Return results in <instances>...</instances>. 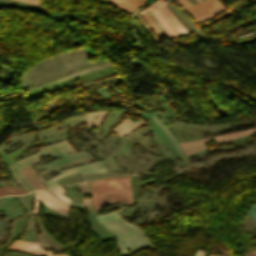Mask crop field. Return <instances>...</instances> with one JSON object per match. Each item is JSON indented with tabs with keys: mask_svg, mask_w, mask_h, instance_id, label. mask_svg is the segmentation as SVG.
<instances>
[{
	"mask_svg": "<svg viewBox=\"0 0 256 256\" xmlns=\"http://www.w3.org/2000/svg\"><path fill=\"white\" fill-rule=\"evenodd\" d=\"M123 209L102 216L95 214L97 220L116 235L122 256L127 255V248L131 252L146 246L153 249V246L139 227L127 223L117 214Z\"/></svg>",
	"mask_w": 256,
	"mask_h": 256,
	"instance_id": "1",
	"label": "crop field"
},
{
	"mask_svg": "<svg viewBox=\"0 0 256 256\" xmlns=\"http://www.w3.org/2000/svg\"><path fill=\"white\" fill-rule=\"evenodd\" d=\"M92 196V210L107 202L132 204L130 176H116L87 182Z\"/></svg>",
	"mask_w": 256,
	"mask_h": 256,
	"instance_id": "2",
	"label": "crop field"
},
{
	"mask_svg": "<svg viewBox=\"0 0 256 256\" xmlns=\"http://www.w3.org/2000/svg\"><path fill=\"white\" fill-rule=\"evenodd\" d=\"M41 151L37 152V154L32 155L30 157H27L17 163L9 165V167L12 169V173L14 175L15 180L18 182V184L22 185L23 187L27 188L28 190L32 191L35 190L33 186L30 184V182L26 179V177L21 173L19 169L24 168L26 166H29L35 162L38 161L39 157L48 155L53 158L69 155V154H63L65 152H69L74 150L71 146L68 145L67 141L53 144L47 147H43L40 149ZM76 151L70 153L73 154Z\"/></svg>",
	"mask_w": 256,
	"mask_h": 256,
	"instance_id": "3",
	"label": "crop field"
},
{
	"mask_svg": "<svg viewBox=\"0 0 256 256\" xmlns=\"http://www.w3.org/2000/svg\"><path fill=\"white\" fill-rule=\"evenodd\" d=\"M197 23L207 21L226 10L218 0H205L191 5L187 0H177Z\"/></svg>",
	"mask_w": 256,
	"mask_h": 256,
	"instance_id": "4",
	"label": "crop field"
},
{
	"mask_svg": "<svg viewBox=\"0 0 256 256\" xmlns=\"http://www.w3.org/2000/svg\"><path fill=\"white\" fill-rule=\"evenodd\" d=\"M59 172L61 174L56 175V176L52 177L51 179H49L47 181H45L41 178L40 179L48 186V188H54V187L60 186L54 180L59 179L61 177H64V176H67V175H70V174H74V173H77V172H79L80 176H83V175H88V174H93V173L106 172V170H105L102 162L98 161V162H94V163H89V164L69 168V169H66V170L59 171Z\"/></svg>",
	"mask_w": 256,
	"mask_h": 256,
	"instance_id": "5",
	"label": "crop field"
},
{
	"mask_svg": "<svg viewBox=\"0 0 256 256\" xmlns=\"http://www.w3.org/2000/svg\"><path fill=\"white\" fill-rule=\"evenodd\" d=\"M253 132H256L255 128L245 130V131L230 133V134H226V135H222V136H218V137L206 138V139H201V140L192 141V142H183V143H179V144H180L181 148L183 149L185 155L187 156V155L193 154L195 152H198V151L206 148L203 143L205 141L215 139L218 143H223L227 140L242 137V136L248 135Z\"/></svg>",
	"mask_w": 256,
	"mask_h": 256,
	"instance_id": "6",
	"label": "crop field"
},
{
	"mask_svg": "<svg viewBox=\"0 0 256 256\" xmlns=\"http://www.w3.org/2000/svg\"><path fill=\"white\" fill-rule=\"evenodd\" d=\"M35 196H36V202H35V207L32 213L37 214L38 200L45 203L47 206L53 209L66 213L68 203L58 200L59 198L56 199L57 197L55 198L47 191H44V190L35 191Z\"/></svg>",
	"mask_w": 256,
	"mask_h": 256,
	"instance_id": "7",
	"label": "crop field"
},
{
	"mask_svg": "<svg viewBox=\"0 0 256 256\" xmlns=\"http://www.w3.org/2000/svg\"><path fill=\"white\" fill-rule=\"evenodd\" d=\"M8 248L31 253V254H37V255L47 254V256H67V255H52L51 251H43L42 248L39 249L37 243L21 241V240L15 241Z\"/></svg>",
	"mask_w": 256,
	"mask_h": 256,
	"instance_id": "8",
	"label": "crop field"
},
{
	"mask_svg": "<svg viewBox=\"0 0 256 256\" xmlns=\"http://www.w3.org/2000/svg\"><path fill=\"white\" fill-rule=\"evenodd\" d=\"M110 1L113 3V5L124 9L129 14H131L134 10L138 9L141 5L147 2V0H110Z\"/></svg>",
	"mask_w": 256,
	"mask_h": 256,
	"instance_id": "9",
	"label": "crop field"
},
{
	"mask_svg": "<svg viewBox=\"0 0 256 256\" xmlns=\"http://www.w3.org/2000/svg\"><path fill=\"white\" fill-rule=\"evenodd\" d=\"M161 12L166 16L170 23L175 27V29L180 33L181 36L188 35L189 33L186 29L177 21V19L168 11V9L163 6L159 8Z\"/></svg>",
	"mask_w": 256,
	"mask_h": 256,
	"instance_id": "10",
	"label": "crop field"
},
{
	"mask_svg": "<svg viewBox=\"0 0 256 256\" xmlns=\"http://www.w3.org/2000/svg\"><path fill=\"white\" fill-rule=\"evenodd\" d=\"M155 123L163 130V132L167 135V137L170 139L171 143L173 144V146L175 147L176 151L178 152L180 157H183L184 154L179 146V144L177 143V141L175 140V138L170 134L169 130L163 125V123L158 119L157 116H150Z\"/></svg>",
	"mask_w": 256,
	"mask_h": 256,
	"instance_id": "11",
	"label": "crop field"
},
{
	"mask_svg": "<svg viewBox=\"0 0 256 256\" xmlns=\"http://www.w3.org/2000/svg\"><path fill=\"white\" fill-rule=\"evenodd\" d=\"M143 18L145 19V21L148 23V25L154 30L157 38L162 37V32L159 30V28L155 25V23L152 21V19L149 17L148 14L143 15Z\"/></svg>",
	"mask_w": 256,
	"mask_h": 256,
	"instance_id": "12",
	"label": "crop field"
},
{
	"mask_svg": "<svg viewBox=\"0 0 256 256\" xmlns=\"http://www.w3.org/2000/svg\"><path fill=\"white\" fill-rule=\"evenodd\" d=\"M8 187H10V186H8ZM0 189H2V188H0ZM24 193H27V191L20 190V189L14 188V187L0 190V196H4V195H8V194H24Z\"/></svg>",
	"mask_w": 256,
	"mask_h": 256,
	"instance_id": "13",
	"label": "crop field"
},
{
	"mask_svg": "<svg viewBox=\"0 0 256 256\" xmlns=\"http://www.w3.org/2000/svg\"><path fill=\"white\" fill-rule=\"evenodd\" d=\"M51 190V192L53 193V194H55L56 196H58V197H60V198H62V199H64V200H66V201H70V199L69 198H67V197H65L64 195H62L61 193L64 191V189H63V187H58V188H55V189H50Z\"/></svg>",
	"mask_w": 256,
	"mask_h": 256,
	"instance_id": "14",
	"label": "crop field"
},
{
	"mask_svg": "<svg viewBox=\"0 0 256 256\" xmlns=\"http://www.w3.org/2000/svg\"><path fill=\"white\" fill-rule=\"evenodd\" d=\"M251 215L254 217V219L256 220V205H254L250 211Z\"/></svg>",
	"mask_w": 256,
	"mask_h": 256,
	"instance_id": "15",
	"label": "crop field"
},
{
	"mask_svg": "<svg viewBox=\"0 0 256 256\" xmlns=\"http://www.w3.org/2000/svg\"><path fill=\"white\" fill-rule=\"evenodd\" d=\"M21 1H26V2H30V3L41 5L38 0H21Z\"/></svg>",
	"mask_w": 256,
	"mask_h": 256,
	"instance_id": "16",
	"label": "crop field"
},
{
	"mask_svg": "<svg viewBox=\"0 0 256 256\" xmlns=\"http://www.w3.org/2000/svg\"><path fill=\"white\" fill-rule=\"evenodd\" d=\"M196 256H205V252L198 250Z\"/></svg>",
	"mask_w": 256,
	"mask_h": 256,
	"instance_id": "17",
	"label": "crop field"
},
{
	"mask_svg": "<svg viewBox=\"0 0 256 256\" xmlns=\"http://www.w3.org/2000/svg\"><path fill=\"white\" fill-rule=\"evenodd\" d=\"M244 256H256V252L245 254Z\"/></svg>",
	"mask_w": 256,
	"mask_h": 256,
	"instance_id": "18",
	"label": "crop field"
}]
</instances>
